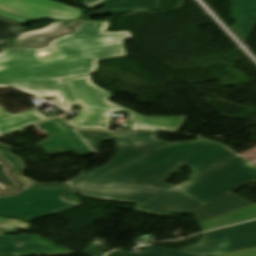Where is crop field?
<instances>
[{
    "instance_id": "1",
    "label": "crop field",
    "mask_w": 256,
    "mask_h": 256,
    "mask_svg": "<svg viewBox=\"0 0 256 256\" xmlns=\"http://www.w3.org/2000/svg\"><path fill=\"white\" fill-rule=\"evenodd\" d=\"M239 155L233 149L207 139L186 143H172L139 159L91 184L134 185L168 189L164 184L179 168L186 165L192 170L191 178Z\"/></svg>"
},
{
    "instance_id": "2",
    "label": "crop field",
    "mask_w": 256,
    "mask_h": 256,
    "mask_svg": "<svg viewBox=\"0 0 256 256\" xmlns=\"http://www.w3.org/2000/svg\"><path fill=\"white\" fill-rule=\"evenodd\" d=\"M108 22H81L74 32L51 40L44 48L7 47L0 52V71L29 67L65 59L98 58L99 61L125 57L123 40L129 32L103 33ZM51 55L40 60L38 57Z\"/></svg>"
},
{
    "instance_id": "3",
    "label": "crop field",
    "mask_w": 256,
    "mask_h": 256,
    "mask_svg": "<svg viewBox=\"0 0 256 256\" xmlns=\"http://www.w3.org/2000/svg\"><path fill=\"white\" fill-rule=\"evenodd\" d=\"M97 59L65 60L29 68L6 69L0 72V87H13L35 98L49 97L57 105L70 110L73 103L62 80L94 74ZM34 111L11 115L0 107V134H11L34 123L45 120Z\"/></svg>"
},
{
    "instance_id": "4",
    "label": "crop field",
    "mask_w": 256,
    "mask_h": 256,
    "mask_svg": "<svg viewBox=\"0 0 256 256\" xmlns=\"http://www.w3.org/2000/svg\"><path fill=\"white\" fill-rule=\"evenodd\" d=\"M76 132L86 141V143L96 152L102 142L115 141L116 151L113 157L103 166L94 171L84 174L85 176L72 182L78 195L94 199L121 201L137 204L159 192L161 190L146 189L140 187H100L88 186L87 183L112 171L113 169L147 153H151L169 143L161 141L155 137V132H96L79 131ZM146 155V154H145ZM144 156V155H143Z\"/></svg>"
},
{
    "instance_id": "5",
    "label": "crop field",
    "mask_w": 256,
    "mask_h": 256,
    "mask_svg": "<svg viewBox=\"0 0 256 256\" xmlns=\"http://www.w3.org/2000/svg\"><path fill=\"white\" fill-rule=\"evenodd\" d=\"M256 178V167L241 156L201 173L170 190L164 191L140 204L137 211L165 216L175 211L189 212ZM232 192V191H231Z\"/></svg>"
},
{
    "instance_id": "6",
    "label": "crop field",
    "mask_w": 256,
    "mask_h": 256,
    "mask_svg": "<svg viewBox=\"0 0 256 256\" xmlns=\"http://www.w3.org/2000/svg\"><path fill=\"white\" fill-rule=\"evenodd\" d=\"M90 76L72 80H63L75 107L81 108L80 113L68 120L75 128L108 130L112 112L128 111L131 130H166L177 131L187 117H143L126 110L107 99L110 94L91 83Z\"/></svg>"
},
{
    "instance_id": "7",
    "label": "crop field",
    "mask_w": 256,
    "mask_h": 256,
    "mask_svg": "<svg viewBox=\"0 0 256 256\" xmlns=\"http://www.w3.org/2000/svg\"><path fill=\"white\" fill-rule=\"evenodd\" d=\"M12 148L0 144V158L10 163L11 171L25 188H65V190H22L16 195L0 196V217L42 218L79 206L63 200V195L74 192L71 184L36 183L21 174L24 165L21 158L9 153Z\"/></svg>"
},
{
    "instance_id": "8",
    "label": "crop field",
    "mask_w": 256,
    "mask_h": 256,
    "mask_svg": "<svg viewBox=\"0 0 256 256\" xmlns=\"http://www.w3.org/2000/svg\"><path fill=\"white\" fill-rule=\"evenodd\" d=\"M253 247H256V221L205 233L199 243L179 251L212 256Z\"/></svg>"
},
{
    "instance_id": "9",
    "label": "crop field",
    "mask_w": 256,
    "mask_h": 256,
    "mask_svg": "<svg viewBox=\"0 0 256 256\" xmlns=\"http://www.w3.org/2000/svg\"><path fill=\"white\" fill-rule=\"evenodd\" d=\"M0 11L29 20L51 17L57 20L80 19L83 11L50 0H0Z\"/></svg>"
},
{
    "instance_id": "10",
    "label": "crop field",
    "mask_w": 256,
    "mask_h": 256,
    "mask_svg": "<svg viewBox=\"0 0 256 256\" xmlns=\"http://www.w3.org/2000/svg\"><path fill=\"white\" fill-rule=\"evenodd\" d=\"M51 132L38 145L48 154L74 152L81 156L93 154L89 147L59 118L37 125Z\"/></svg>"
},
{
    "instance_id": "11",
    "label": "crop field",
    "mask_w": 256,
    "mask_h": 256,
    "mask_svg": "<svg viewBox=\"0 0 256 256\" xmlns=\"http://www.w3.org/2000/svg\"><path fill=\"white\" fill-rule=\"evenodd\" d=\"M15 241H19L23 243V245L16 247L12 244ZM1 253H13L14 256H55L77 254L32 234L0 237V254Z\"/></svg>"
},
{
    "instance_id": "12",
    "label": "crop field",
    "mask_w": 256,
    "mask_h": 256,
    "mask_svg": "<svg viewBox=\"0 0 256 256\" xmlns=\"http://www.w3.org/2000/svg\"><path fill=\"white\" fill-rule=\"evenodd\" d=\"M250 205L253 204L230 192L188 214L202 222Z\"/></svg>"
},
{
    "instance_id": "13",
    "label": "crop field",
    "mask_w": 256,
    "mask_h": 256,
    "mask_svg": "<svg viewBox=\"0 0 256 256\" xmlns=\"http://www.w3.org/2000/svg\"><path fill=\"white\" fill-rule=\"evenodd\" d=\"M78 20L56 21L52 25L33 32L19 35L11 44L26 46H42L48 38L64 33Z\"/></svg>"
},
{
    "instance_id": "14",
    "label": "crop field",
    "mask_w": 256,
    "mask_h": 256,
    "mask_svg": "<svg viewBox=\"0 0 256 256\" xmlns=\"http://www.w3.org/2000/svg\"><path fill=\"white\" fill-rule=\"evenodd\" d=\"M136 6H141L146 10L158 9L160 6V0H119L105 5L99 11H93L88 13V16L110 15L130 12Z\"/></svg>"
},
{
    "instance_id": "15",
    "label": "crop field",
    "mask_w": 256,
    "mask_h": 256,
    "mask_svg": "<svg viewBox=\"0 0 256 256\" xmlns=\"http://www.w3.org/2000/svg\"><path fill=\"white\" fill-rule=\"evenodd\" d=\"M256 218V205L202 222L199 227L202 231Z\"/></svg>"
},
{
    "instance_id": "16",
    "label": "crop field",
    "mask_w": 256,
    "mask_h": 256,
    "mask_svg": "<svg viewBox=\"0 0 256 256\" xmlns=\"http://www.w3.org/2000/svg\"><path fill=\"white\" fill-rule=\"evenodd\" d=\"M232 19L256 15V0H230Z\"/></svg>"
},
{
    "instance_id": "17",
    "label": "crop field",
    "mask_w": 256,
    "mask_h": 256,
    "mask_svg": "<svg viewBox=\"0 0 256 256\" xmlns=\"http://www.w3.org/2000/svg\"><path fill=\"white\" fill-rule=\"evenodd\" d=\"M106 256H194L186 253L175 252L155 246L145 247V251L142 254L125 253L122 250L113 251Z\"/></svg>"
},
{
    "instance_id": "18",
    "label": "crop field",
    "mask_w": 256,
    "mask_h": 256,
    "mask_svg": "<svg viewBox=\"0 0 256 256\" xmlns=\"http://www.w3.org/2000/svg\"><path fill=\"white\" fill-rule=\"evenodd\" d=\"M255 21L256 17L244 18L235 21L233 29L244 42H246Z\"/></svg>"
},
{
    "instance_id": "19",
    "label": "crop field",
    "mask_w": 256,
    "mask_h": 256,
    "mask_svg": "<svg viewBox=\"0 0 256 256\" xmlns=\"http://www.w3.org/2000/svg\"><path fill=\"white\" fill-rule=\"evenodd\" d=\"M0 228L29 230L31 226L21 221L0 218Z\"/></svg>"
},
{
    "instance_id": "20",
    "label": "crop field",
    "mask_w": 256,
    "mask_h": 256,
    "mask_svg": "<svg viewBox=\"0 0 256 256\" xmlns=\"http://www.w3.org/2000/svg\"><path fill=\"white\" fill-rule=\"evenodd\" d=\"M18 28L20 27L0 20V36L14 40L17 36L11 33Z\"/></svg>"
},
{
    "instance_id": "21",
    "label": "crop field",
    "mask_w": 256,
    "mask_h": 256,
    "mask_svg": "<svg viewBox=\"0 0 256 256\" xmlns=\"http://www.w3.org/2000/svg\"><path fill=\"white\" fill-rule=\"evenodd\" d=\"M0 184L2 186L18 185L6 173V166L4 165V163L0 164Z\"/></svg>"
},
{
    "instance_id": "22",
    "label": "crop field",
    "mask_w": 256,
    "mask_h": 256,
    "mask_svg": "<svg viewBox=\"0 0 256 256\" xmlns=\"http://www.w3.org/2000/svg\"><path fill=\"white\" fill-rule=\"evenodd\" d=\"M220 256H256V248Z\"/></svg>"
},
{
    "instance_id": "23",
    "label": "crop field",
    "mask_w": 256,
    "mask_h": 256,
    "mask_svg": "<svg viewBox=\"0 0 256 256\" xmlns=\"http://www.w3.org/2000/svg\"><path fill=\"white\" fill-rule=\"evenodd\" d=\"M82 254L84 256H102L104 252H101L93 247H88Z\"/></svg>"
},
{
    "instance_id": "24",
    "label": "crop field",
    "mask_w": 256,
    "mask_h": 256,
    "mask_svg": "<svg viewBox=\"0 0 256 256\" xmlns=\"http://www.w3.org/2000/svg\"><path fill=\"white\" fill-rule=\"evenodd\" d=\"M82 1L86 7L90 8V7L98 5L106 0H82Z\"/></svg>"
},
{
    "instance_id": "25",
    "label": "crop field",
    "mask_w": 256,
    "mask_h": 256,
    "mask_svg": "<svg viewBox=\"0 0 256 256\" xmlns=\"http://www.w3.org/2000/svg\"><path fill=\"white\" fill-rule=\"evenodd\" d=\"M18 188H19V186L4 187V192H1L0 194L15 192V191H17Z\"/></svg>"
},
{
    "instance_id": "26",
    "label": "crop field",
    "mask_w": 256,
    "mask_h": 256,
    "mask_svg": "<svg viewBox=\"0 0 256 256\" xmlns=\"http://www.w3.org/2000/svg\"><path fill=\"white\" fill-rule=\"evenodd\" d=\"M0 15H3V16H6V17H9V18H11V19L17 20V21L22 22V23H27V22H29V21H26V20H23V19H20V18H17V17H13V16H10V15H7V14H4V13H1V12H0Z\"/></svg>"
},
{
    "instance_id": "27",
    "label": "crop field",
    "mask_w": 256,
    "mask_h": 256,
    "mask_svg": "<svg viewBox=\"0 0 256 256\" xmlns=\"http://www.w3.org/2000/svg\"><path fill=\"white\" fill-rule=\"evenodd\" d=\"M0 19H1V20H4V21H6V22L12 23V24L19 25V26L22 25V23H19V22H17V21L11 20V19L6 18V17H3V16H0Z\"/></svg>"
},
{
    "instance_id": "28",
    "label": "crop field",
    "mask_w": 256,
    "mask_h": 256,
    "mask_svg": "<svg viewBox=\"0 0 256 256\" xmlns=\"http://www.w3.org/2000/svg\"><path fill=\"white\" fill-rule=\"evenodd\" d=\"M6 232H15L14 230L0 229V236H4Z\"/></svg>"
},
{
    "instance_id": "29",
    "label": "crop field",
    "mask_w": 256,
    "mask_h": 256,
    "mask_svg": "<svg viewBox=\"0 0 256 256\" xmlns=\"http://www.w3.org/2000/svg\"><path fill=\"white\" fill-rule=\"evenodd\" d=\"M22 30H24V29H23V28H20V29H18L17 31H15L13 34L18 35Z\"/></svg>"
},
{
    "instance_id": "30",
    "label": "crop field",
    "mask_w": 256,
    "mask_h": 256,
    "mask_svg": "<svg viewBox=\"0 0 256 256\" xmlns=\"http://www.w3.org/2000/svg\"><path fill=\"white\" fill-rule=\"evenodd\" d=\"M0 256H13L12 254H1Z\"/></svg>"
},
{
    "instance_id": "31",
    "label": "crop field",
    "mask_w": 256,
    "mask_h": 256,
    "mask_svg": "<svg viewBox=\"0 0 256 256\" xmlns=\"http://www.w3.org/2000/svg\"><path fill=\"white\" fill-rule=\"evenodd\" d=\"M48 57H50V56H48ZM48 57H42V58H40V59H44V58H48Z\"/></svg>"
},
{
    "instance_id": "32",
    "label": "crop field",
    "mask_w": 256,
    "mask_h": 256,
    "mask_svg": "<svg viewBox=\"0 0 256 256\" xmlns=\"http://www.w3.org/2000/svg\"><path fill=\"white\" fill-rule=\"evenodd\" d=\"M0 47H1V45H0Z\"/></svg>"
},
{
    "instance_id": "33",
    "label": "crop field",
    "mask_w": 256,
    "mask_h": 256,
    "mask_svg": "<svg viewBox=\"0 0 256 256\" xmlns=\"http://www.w3.org/2000/svg\"><path fill=\"white\" fill-rule=\"evenodd\" d=\"M1 163V162H0Z\"/></svg>"
}]
</instances>
